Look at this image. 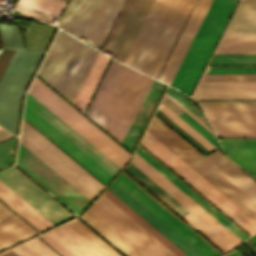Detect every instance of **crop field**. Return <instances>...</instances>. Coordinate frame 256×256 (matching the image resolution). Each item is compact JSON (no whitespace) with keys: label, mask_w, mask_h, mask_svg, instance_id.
<instances>
[{"label":"crop field","mask_w":256,"mask_h":256,"mask_svg":"<svg viewBox=\"0 0 256 256\" xmlns=\"http://www.w3.org/2000/svg\"><path fill=\"white\" fill-rule=\"evenodd\" d=\"M211 0H198L179 40L177 41L160 78L171 82ZM161 80V79H159ZM163 81V80H161ZM165 82V81H163ZM167 83V82H165ZM169 84V83H167Z\"/></svg>","instance_id":"crop-field-20"},{"label":"crop field","mask_w":256,"mask_h":256,"mask_svg":"<svg viewBox=\"0 0 256 256\" xmlns=\"http://www.w3.org/2000/svg\"><path fill=\"white\" fill-rule=\"evenodd\" d=\"M255 242H256V235H254L253 237H251Z\"/></svg>","instance_id":"crop-field-55"},{"label":"crop field","mask_w":256,"mask_h":256,"mask_svg":"<svg viewBox=\"0 0 256 256\" xmlns=\"http://www.w3.org/2000/svg\"><path fill=\"white\" fill-rule=\"evenodd\" d=\"M0 181L54 225L72 217L13 167L0 173Z\"/></svg>","instance_id":"crop-field-15"},{"label":"crop field","mask_w":256,"mask_h":256,"mask_svg":"<svg viewBox=\"0 0 256 256\" xmlns=\"http://www.w3.org/2000/svg\"><path fill=\"white\" fill-rule=\"evenodd\" d=\"M18 256H59L37 237L11 248Z\"/></svg>","instance_id":"crop-field-32"},{"label":"crop field","mask_w":256,"mask_h":256,"mask_svg":"<svg viewBox=\"0 0 256 256\" xmlns=\"http://www.w3.org/2000/svg\"><path fill=\"white\" fill-rule=\"evenodd\" d=\"M20 143L90 201L104 187L24 121Z\"/></svg>","instance_id":"crop-field-11"},{"label":"crop field","mask_w":256,"mask_h":256,"mask_svg":"<svg viewBox=\"0 0 256 256\" xmlns=\"http://www.w3.org/2000/svg\"><path fill=\"white\" fill-rule=\"evenodd\" d=\"M159 110H161L165 115H167L171 120H173L177 125L184 129L188 134H190L194 139H196L200 144H202L209 151L215 149L208 141H206L202 136H200L196 131H194L190 126H188L183 120H181L177 115H175L171 110H169L165 105L160 103Z\"/></svg>","instance_id":"crop-field-36"},{"label":"crop field","mask_w":256,"mask_h":256,"mask_svg":"<svg viewBox=\"0 0 256 256\" xmlns=\"http://www.w3.org/2000/svg\"><path fill=\"white\" fill-rule=\"evenodd\" d=\"M256 75H204L201 81H254Z\"/></svg>","instance_id":"crop-field-42"},{"label":"crop field","mask_w":256,"mask_h":256,"mask_svg":"<svg viewBox=\"0 0 256 256\" xmlns=\"http://www.w3.org/2000/svg\"><path fill=\"white\" fill-rule=\"evenodd\" d=\"M182 218H184L188 223H190L193 227H195L199 232H201L204 236H206L210 241H212L224 252L233 248L221 237H219L215 232H213L210 228H208L204 223H202L199 219H197L193 214L188 213L182 216Z\"/></svg>","instance_id":"crop-field-34"},{"label":"crop field","mask_w":256,"mask_h":256,"mask_svg":"<svg viewBox=\"0 0 256 256\" xmlns=\"http://www.w3.org/2000/svg\"><path fill=\"white\" fill-rule=\"evenodd\" d=\"M156 115H158L162 120L169 124L173 129L180 133L184 138H186L190 143L197 147L204 154L209 152L202 145H200L196 140H194L190 135L183 131L179 126H177L173 121H171L167 116H165L161 111L157 109Z\"/></svg>","instance_id":"crop-field-43"},{"label":"crop field","mask_w":256,"mask_h":256,"mask_svg":"<svg viewBox=\"0 0 256 256\" xmlns=\"http://www.w3.org/2000/svg\"><path fill=\"white\" fill-rule=\"evenodd\" d=\"M60 31L38 75L73 103L98 52Z\"/></svg>","instance_id":"crop-field-6"},{"label":"crop field","mask_w":256,"mask_h":256,"mask_svg":"<svg viewBox=\"0 0 256 256\" xmlns=\"http://www.w3.org/2000/svg\"><path fill=\"white\" fill-rule=\"evenodd\" d=\"M67 224H69L73 229H75L79 234H81L85 239H87L106 256H120L117 252H115L111 247H109L105 242H103L99 237H97L77 219L69 221L67 222Z\"/></svg>","instance_id":"crop-field-33"},{"label":"crop field","mask_w":256,"mask_h":256,"mask_svg":"<svg viewBox=\"0 0 256 256\" xmlns=\"http://www.w3.org/2000/svg\"><path fill=\"white\" fill-rule=\"evenodd\" d=\"M215 53H256V36H224Z\"/></svg>","instance_id":"crop-field-30"},{"label":"crop field","mask_w":256,"mask_h":256,"mask_svg":"<svg viewBox=\"0 0 256 256\" xmlns=\"http://www.w3.org/2000/svg\"><path fill=\"white\" fill-rule=\"evenodd\" d=\"M15 10L20 11V13H22V14L29 15V16H32V17H35V18H38V19H41V20H44V21H47L50 23L53 18H56V19L58 18V15L46 13L43 11H39V10L25 7V6L18 5V4L16 5Z\"/></svg>","instance_id":"crop-field-44"},{"label":"crop field","mask_w":256,"mask_h":256,"mask_svg":"<svg viewBox=\"0 0 256 256\" xmlns=\"http://www.w3.org/2000/svg\"><path fill=\"white\" fill-rule=\"evenodd\" d=\"M15 139L16 137L0 144V168L12 162ZM7 150L10 154L5 153Z\"/></svg>","instance_id":"crop-field-45"},{"label":"crop field","mask_w":256,"mask_h":256,"mask_svg":"<svg viewBox=\"0 0 256 256\" xmlns=\"http://www.w3.org/2000/svg\"><path fill=\"white\" fill-rule=\"evenodd\" d=\"M201 106H246L256 105V101L245 102H199Z\"/></svg>","instance_id":"crop-field-47"},{"label":"crop field","mask_w":256,"mask_h":256,"mask_svg":"<svg viewBox=\"0 0 256 256\" xmlns=\"http://www.w3.org/2000/svg\"><path fill=\"white\" fill-rule=\"evenodd\" d=\"M205 74H256V67H208Z\"/></svg>","instance_id":"crop-field-40"},{"label":"crop field","mask_w":256,"mask_h":256,"mask_svg":"<svg viewBox=\"0 0 256 256\" xmlns=\"http://www.w3.org/2000/svg\"><path fill=\"white\" fill-rule=\"evenodd\" d=\"M107 189L188 256L219 255L122 173Z\"/></svg>","instance_id":"crop-field-4"},{"label":"crop field","mask_w":256,"mask_h":256,"mask_svg":"<svg viewBox=\"0 0 256 256\" xmlns=\"http://www.w3.org/2000/svg\"><path fill=\"white\" fill-rule=\"evenodd\" d=\"M17 3L59 15L64 4H65V1H61V0H18Z\"/></svg>","instance_id":"crop-field-37"},{"label":"crop field","mask_w":256,"mask_h":256,"mask_svg":"<svg viewBox=\"0 0 256 256\" xmlns=\"http://www.w3.org/2000/svg\"><path fill=\"white\" fill-rule=\"evenodd\" d=\"M167 92L171 94L175 99H177L181 104H183L187 109H189L194 115H196L200 120H202L206 125L207 122L202 114V112L191 102H189L187 99H185L183 96H181L178 92H176L172 88H168Z\"/></svg>","instance_id":"crop-field-46"},{"label":"crop field","mask_w":256,"mask_h":256,"mask_svg":"<svg viewBox=\"0 0 256 256\" xmlns=\"http://www.w3.org/2000/svg\"><path fill=\"white\" fill-rule=\"evenodd\" d=\"M13 215L12 212H10L6 207H4L1 203H0V220H3L9 216Z\"/></svg>","instance_id":"crop-field-50"},{"label":"crop field","mask_w":256,"mask_h":256,"mask_svg":"<svg viewBox=\"0 0 256 256\" xmlns=\"http://www.w3.org/2000/svg\"><path fill=\"white\" fill-rule=\"evenodd\" d=\"M86 213L138 256H175L102 195Z\"/></svg>","instance_id":"crop-field-10"},{"label":"crop field","mask_w":256,"mask_h":256,"mask_svg":"<svg viewBox=\"0 0 256 256\" xmlns=\"http://www.w3.org/2000/svg\"><path fill=\"white\" fill-rule=\"evenodd\" d=\"M248 249L256 256V245L252 242V240L249 238L245 242H243Z\"/></svg>","instance_id":"crop-field-51"},{"label":"crop field","mask_w":256,"mask_h":256,"mask_svg":"<svg viewBox=\"0 0 256 256\" xmlns=\"http://www.w3.org/2000/svg\"><path fill=\"white\" fill-rule=\"evenodd\" d=\"M140 144L247 233L256 232V182L221 153L217 151L190 166L255 220L147 131Z\"/></svg>","instance_id":"crop-field-1"},{"label":"crop field","mask_w":256,"mask_h":256,"mask_svg":"<svg viewBox=\"0 0 256 256\" xmlns=\"http://www.w3.org/2000/svg\"><path fill=\"white\" fill-rule=\"evenodd\" d=\"M41 54L16 50L0 81V125L14 134L22 92Z\"/></svg>","instance_id":"crop-field-12"},{"label":"crop field","mask_w":256,"mask_h":256,"mask_svg":"<svg viewBox=\"0 0 256 256\" xmlns=\"http://www.w3.org/2000/svg\"><path fill=\"white\" fill-rule=\"evenodd\" d=\"M114 205H116L120 210H122L126 215L133 219L137 224L144 228L148 233L155 237L159 242L166 246L170 251H172L176 256H187L174 244H172L168 239H166L162 234H160L156 229L149 225L145 220H143L139 215H137L133 210L126 206L122 201H120L116 196H114L107 189L102 194Z\"/></svg>","instance_id":"crop-field-28"},{"label":"crop field","mask_w":256,"mask_h":256,"mask_svg":"<svg viewBox=\"0 0 256 256\" xmlns=\"http://www.w3.org/2000/svg\"><path fill=\"white\" fill-rule=\"evenodd\" d=\"M224 35H256V13H235Z\"/></svg>","instance_id":"crop-field-31"},{"label":"crop field","mask_w":256,"mask_h":256,"mask_svg":"<svg viewBox=\"0 0 256 256\" xmlns=\"http://www.w3.org/2000/svg\"><path fill=\"white\" fill-rule=\"evenodd\" d=\"M147 131L182 158L186 163H190L202 156L155 116Z\"/></svg>","instance_id":"crop-field-21"},{"label":"crop field","mask_w":256,"mask_h":256,"mask_svg":"<svg viewBox=\"0 0 256 256\" xmlns=\"http://www.w3.org/2000/svg\"><path fill=\"white\" fill-rule=\"evenodd\" d=\"M131 163L134 164L143 173H145L154 182H156L165 191H167L170 195H172L186 208L195 203L169 180H167L163 175H161L157 170H155L151 165H149L145 160H143L139 155L135 154ZM187 209H189L193 214H195L199 219H201L205 224H207L233 247L242 242L197 204H194Z\"/></svg>","instance_id":"crop-field-17"},{"label":"crop field","mask_w":256,"mask_h":256,"mask_svg":"<svg viewBox=\"0 0 256 256\" xmlns=\"http://www.w3.org/2000/svg\"><path fill=\"white\" fill-rule=\"evenodd\" d=\"M123 0H71L59 28L96 47L101 45Z\"/></svg>","instance_id":"crop-field-8"},{"label":"crop field","mask_w":256,"mask_h":256,"mask_svg":"<svg viewBox=\"0 0 256 256\" xmlns=\"http://www.w3.org/2000/svg\"><path fill=\"white\" fill-rule=\"evenodd\" d=\"M182 118L186 123H188L193 129H195L199 134H201L206 140H208L212 145L216 148L219 147L215 137L211 135L207 130H205L201 125H199L195 120H193L189 115L185 112L178 115Z\"/></svg>","instance_id":"crop-field-41"},{"label":"crop field","mask_w":256,"mask_h":256,"mask_svg":"<svg viewBox=\"0 0 256 256\" xmlns=\"http://www.w3.org/2000/svg\"><path fill=\"white\" fill-rule=\"evenodd\" d=\"M236 12H256V0H241Z\"/></svg>","instance_id":"crop-field-48"},{"label":"crop field","mask_w":256,"mask_h":256,"mask_svg":"<svg viewBox=\"0 0 256 256\" xmlns=\"http://www.w3.org/2000/svg\"><path fill=\"white\" fill-rule=\"evenodd\" d=\"M24 118L105 184L120 169L29 94Z\"/></svg>","instance_id":"crop-field-5"},{"label":"crop field","mask_w":256,"mask_h":256,"mask_svg":"<svg viewBox=\"0 0 256 256\" xmlns=\"http://www.w3.org/2000/svg\"><path fill=\"white\" fill-rule=\"evenodd\" d=\"M151 82L112 60L85 114L122 142Z\"/></svg>","instance_id":"crop-field-2"},{"label":"crop field","mask_w":256,"mask_h":256,"mask_svg":"<svg viewBox=\"0 0 256 256\" xmlns=\"http://www.w3.org/2000/svg\"><path fill=\"white\" fill-rule=\"evenodd\" d=\"M192 98L195 100L256 99V81L200 82Z\"/></svg>","instance_id":"crop-field-19"},{"label":"crop field","mask_w":256,"mask_h":256,"mask_svg":"<svg viewBox=\"0 0 256 256\" xmlns=\"http://www.w3.org/2000/svg\"><path fill=\"white\" fill-rule=\"evenodd\" d=\"M109 58L98 53L75 101L74 105L84 111L107 63Z\"/></svg>","instance_id":"crop-field-26"},{"label":"crop field","mask_w":256,"mask_h":256,"mask_svg":"<svg viewBox=\"0 0 256 256\" xmlns=\"http://www.w3.org/2000/svg\"><path fill=\"white\" fill-rule=\"evenodd\" d=\"M196 0H155L154 5L188 17ZM152 5L124 63L157 78L186 17Z\"/></svg>","instance_id":"crop-field-3"},{"label":"crop field","mask_w":256,"mask_h":256,"mask_svg":"<svg viewBox=\"0 0 256 256\" xmlns=\"http://www.w3.org/2000/svg\"><path fill=\"white\" fill-rule=\"evenodd\" d=\"M0 32L4 47L24 49L15 25L0 24Z\"/></svg>","instance_id":"crop-field-38"},{"label":"crop field","mask_w":256,"mask_h":256,"mask_svg":"<svg viewBox=\"0 0 256 256\" xmlns=\"http://www.w3.org/2000/svg\"><path fill=\"white\" fill-rule=\"evenodd\" d=\"M0 256H16L14 253H12L10 250L1 253Z\"/></svg>","instance_id":"crop-field-53"},{"label":"crop field","mask_w":256,"mask_h":256,"mask_svg":"<svg viewBox=\"0 0 256 256\" xmlns=\"http://www.w3.org/2000/svg\"><path fill=\"white\" fill-rule=\"evenodd\" d=\"M0 200L32 225L39 232L53 226L47 219L29 206L19 196L0 182Z\"/></svg>","instance_id":"crop-field-23"},{"label":"crop field","mask_w":256,"mask_h":256,"mask_svg":"<svg viewBox=\"0 0 256 256\" xmlns=\"http://www.w3.org/2000/svg\"><path fill=\"white\" fill-rule=\"evenodd\" d=\"M38 237L61 256H104L66 223Z\"/></svg>","instance_id":"crop-field-18"},{"label":"crop field","mask_w":256,"mask_h":256,"mask_svg":"<svg viewBox=\"0 0 256 256\" xmlns=\"http://www.w3.org/2000/svg\"><path fill=\"white\" fill-rule=\"evenodd\" d=\"M202 108L217 137L256 136V106Z\"/></svg>","instance_id":"crop-field-14"},{"label":"crop field","mask_w":256,"mask_h":256,"mask_svg":"<svg viewBox=\"0 0 256 256\" xmlns=\"http://www.w3.org/2000/svg\"><path fill=\"white\" fill-rule=\"evenodd\" d=\"M225 152L256 177V140L220 141Z\"/></svg>","instance_id":"crop-field-25"},{"label":"crop field","mask_w":256,"mask_h":256,"mask_svg":"<svg viewBox=\"0 0 256 256\" xmlns=\"http://www.w3.org/2000/svg\"><path fill=\"white\" fill-rule=\"evenodd\" d=\"M163 84L153 81L124 141L123 145L127 147L130 151L132 150L162 88Z\"/></svg>","instance_id":"crop-field-24"},{"label":"crop field","mask_w":256,"mask_h":256,"mask_svg":"<svg viewBox=\"0 0 256 256\" xmlns=\"http://www.w3.org/2000/svg\"><path fill=\"white\" fill-rule=\"evenodd\" d=\"M36 234L16 216L0 223V250Z\"/></svg>","instance_id":"crop-field-27"},{"label":"crop field","mask_w":256,"mask_h":256,"mask_svg":"<svg viewBox=\"0 0 256 256\" xmlns=\"http://www.w3.org/2000/svg\"><path fill=\"white\" fill-rule=\"evenodd\" d=\"M129 0H127L118 20L116 21L103 49L102 52L104 51H109L110 53H112L113 55H111V57H113L114 55L118 56L119 58L123 59L125 58L153 0H131L108 47L109 49L113 50L114 52L118 53H114L111 50L107 49L106 46L128 4ZM115 57V59L119 60V61H123L119 58Z\"/></svg>","instance_id":"crop-field-16"},{"label":"crop field","mask_w":256,"mask_h":256,"mask_svg":"<svg viewBox=\"0 0 256 256\" xmlns=\"http://www.w3.org/2000/svg\"><path fill=\"white\" fill-rule=\"evenodd\" d=\"M124 170L127 171L131 176H133L137 181L144 185L148 190H150L154 195H156L160 200H162L180 216L189 212L185 207H183L179 202H177L173 197L166 193L162 188L155 184L151 179H149L131 163Z\"/></svg>","instance_id":"crop-field-29"},{"label":"crop field","mask_w":256,"mask_h":256,"mask_svg":"<svg viewBox=\"0 0 256 256\" xmlns=\"http://www.w3.org/2000/svg\"><path fill=\"white\" fill-rule=\"evenodd\" d=\"M81 218L85 220L89 225H91L95 230H97L101 235H103L107 240H109L113 245H115L119 250H121L125 255L137 256L112 234L105 230L101 225H99L95 220H93L89 215L85 213Z\"/></svg>","instance_id":"crop-field-39"},{"label":"crop field","mask_w":256,"mask_h":256,"mask_svg":"<svg viewBox=\"0 0 256 256\" xmlns=\"http://www.w3.org/2000/svg\"><path fill=\"white\" fill-rule=\"evenodd\" d=\"M120 168L131 157L119 145L35 78L29 92Z\"/></svg>","instance_id":"crop-field-9"},{"label":"crop field","mask_w":256,"mask_h":256,"mask_svg":"<svg viewBox=\"0 0 256 256\" xmlns=\"http://www.w3.org/2000/svg\"><path fill=\"white\" fill-rule=\"evenodd\" d=\"M136 153L139 154L143 159H145L178 188H180L183 192H185L188 196H190L193 200H195L202 208H204L210 215H212L222 225L229 229L239 239L243 241L248 238L222 215H220L216 210H214L210 205H208L204 200H202L198 195H196L192 190H190L186 185H184L180 180H178L174 175H172L168 170H166L162 165H160L156 160H154L150 155H148L144 150L138 147Z\"/></svg>","instance_id":"crop-field-22"},{"label":"crop field","mask_w":256,"mask_h":256,"mask_svg":"<svg viewBox=\"0 0 256 256\" xmlns=\"http://www.w3.org/2000/svg\"><path fill=\"white\" fill-rule=\"evenodd\" d=\"M17 165L77 214L90 202L21 144Z\"/></svg>","instance_id":"crop-field-13"},{"label":"crop field","mask_w":256,"mask_h":256,"mask_svg":"<svg viewBox=\"0 0 256 256\" xmlns=\"http://www.w3.org/2000/svg\"><path fill=\"white\" fill-rule=\"evenodd\" d=\"M167 97H169L173 102H175L179 107H181L185 112H187L192 118H194L198 123H200L204 128H206L210 133H212L211 129L206 126L202 121H200L196 116H194L190 111H188L183 105H181L177 100H175L171 95H169L167 92L165 94ZM213 134V133H212Z\"/></svg>","instance_id":"crop-field-49"},{"label":"crop field","mask_w":256,"mask_h":256,"mask_svg":"<svg viewBox=\"0 0 256 256\" xmlns=\"http://www.w3.org/2000/svg\"><path fill=\"white\" fill-rule=\"evenodd\" d=\"M209 64H256V54H214Z\"/></svg>","instance_id":"crop-field-35"},{"label":"crop field","mask_w":256,"mask_h":256,"mask_svg":"<svg viewBox=\"0 0 256 256\" xmlns=\"http://www.w3.org/2000/svg\"><path fill=\"white\" fill-rule=\"evenodd\" d=\"M235 3L236 0H212L171 86L190 96Z\"/></svg>","instance_id":"crop-field-7"},{"label":"crop field","mask_w":256,"mask_h":256,"mask_svg":"<svg viewBox=\"0 0 256 256\" xmlns=\"http://www.w3.org/2000/svg\"><path fill=\"white\" fill-rule=\"evenodd\" d=\"M225 256H227V255H225ZM228 256H240V255L236 251H234V252L228 254Z\"/></svg>","instance_id":"crop-field-54"},{"label":"crop field","mask_w":256,"mask_h":256,"mask_svg":"<svg viewBox=\"0 0 256 256\" xmlns=\"http://www.w3.org/2000/svg\"><path fill=\"white\" fill-rule=\"evenodd\" d=\"M1 128V127H0ZM7 133H9L8 131H6L5 129H0V137L1 136H3V135H5V134H7ZM11 136H13L11 133H9V134H7V135H5V136H3V137H1L0 138V142L1 141H3V140H5V139H7V138H9V137H11Z\"/></svg>","instance_id":"crop-field-52"}]
</instances>
